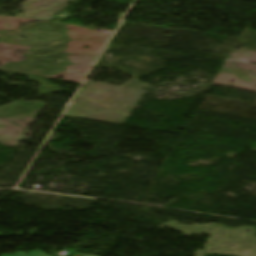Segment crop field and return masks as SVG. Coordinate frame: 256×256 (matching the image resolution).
Returning <instances> with one entry per match:
<instances>
[{
    "label": "crop field",
    "mask_w": 256,
    "mask_h": 256,
    "mask_svg": "<svg viewBox=\"0 0 256 256\" xmlns=\"http://www.w3.org/2000/svg\"><path fill=\"white\" fill-rule=\"evenodd\" d=\"M2 256H47V255L45 253H43L40 249H38L29 254L22 253V252H16L12 255H2Z\"/></svg>",
    "instance_id": "obj_1"
},
{
    "label": "crop field",
    "mask_w": 256,
    "mask_h": 256,
    "mask_svg": "<svg viewBox=\"0 0 256 256\" xmlns=\"http://www.w3.org/2000/svg\"><path fill=\"white\" fill-rule=\"evenodd\" d=\"M83 254V253H82ZM87 256H93V255H91V254H88Z\"/></svg>",
    "instance_id": "obj_2"
}]
</instances>
